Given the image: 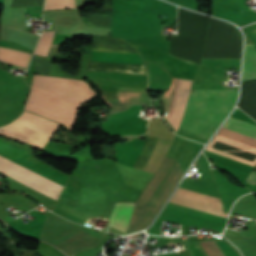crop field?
I'll list each match as a JSON object with an SVG mask.
<instances>
[{
    "mask_svg": "<svg viewBox=\"0 0 256 256\" xmlns=\"http://www.w3.org/2000/svg\"><path fill=\"white\" fill-rule=\"evenodd\" d=\"M46 118L23 111L14 121L0 127V133L44 148L59 127Z\"/></svg>",
    "mask_w": 256,
    "mask_h": 256,
    "instance_id": "34b2d1b8",
    "label": "crop field"
},
{
    "mask_svg": "<svg viewBox=\"0 0 256 256\" xmlns=\"http://www.w3.org/2000/svg\"><path fill=\"white\" fill-rule=\"evenodd\" d=\"M80 106L33 86L24 110L60 122L72 130Z\"/></svg>",
    "mask_w": 256,
    "mask_h": 256,
    "instance_id": "ac0d7876",
    "label": "crop field"
},
{
    "mask_svg": "<svg viewBox=\"0 0 256 256\" xmlns=\"http://www.w3.org/2000/svg\"><path fill=\"white\" fill-rule=\"evenodd\" d=\"M223 128L256 138V126L229 117ZM221 128L218 135L256 147V139Z\"/></svg>",
    "mask_w": 256,
    "mask_h": 256,
    "instance_id": "412701ff",
    "label": "crop field"
},
{
    "mask_svg": "<svg viewBox=\"0 0 256 256\" xmlns=\"http://www.w3.org/2000/svg\"><path fill=\"white\" fill-rule=\"evenodd\" d=\"M87 70L147 75L145 64L89 60Z\"/></svg>",
    "mask_w": 256,
    "mask_h": 256,
    "instance_id": "f4fd0767",
    "label": "crop field"
},
{
    "mask_svg": "<svg viewBox=\"0 0 256 256\" xmlns=\"http://www.w3.org/2000/svg\"><path fill=\"white\" fill-rule=\"evenodd\" d=\"M54 8H75L74 0H46L45 10Z\"/></svg>",
    "mask_w": 256,
    "mask_h": 256,
    "instance_id": "3316defc",
    "label": "crop field"
},
{
    "mask_svg": "<svg viewBox=\"0 0 256 256\" xmlns=\"http://www.w3.org/2000/svg\"><path fill=\"white\" fill-rule=\"evenodd\" d=\"M31 54L0 48V61L26 67Z\"/></svg>",
    "mask_w": 256,
    "mask_h": 256,
    "instance_id": "d8731c3e",
    "label": "crop field"
},
{
    "mask_svg": "<svg viewBox=\"0 0 256 256\" xmlns=\"http://www.w3.org/2000/svg\"><path fill=\"white\" fill-rule=\"evenodd\" d=\"M246 182L256 184V171H252L246 178Z\"/></svg>",
    "mask_w": 256,
    "mask_h": 256,
    "instance_id": "d1516ede",
    "label": "crop field"
},
{
    "mask_svg": "<svg viewBox=\"0 0 256 256\" xmlns=\"http://www.w3.org/2000/svg\"><path fill=\"white\" fill-rule=\"evenodd\" d=\"M120 204L121 203H115L113 209H112V212L108 218L109 222L113 225L114 224V221H115V218H116V215L118 213V210H119V207H120ZM135 204H131V203H122L121 204V207H120V210H119V213L117 215V218H116V221H115V224H114V227L122 230L125 232L126 228L128 227L129 223H130V219H131V215H132V211H133V208H134ZM111 211V210H110Z\"/></svg>",
    "mask_w": 256,
    "mask_h": 256,
    "instance_id": "dd49c442",
    "label": "crop field"
},
{
    "mask_svg": "<svg viewBox=\"0 0 256 256\" xmlns=\"http://www.w3.org/2000/svg\"><path fill=\"white\" fill-rule=\"evenodd\" d=\"M54 32H43L38 46L35 50V54L47 56L49 52L50 45L53 41Z\"/></svg>",
    "mask_w": 256,
    "mask_h": 256,
    "instance_id": "5a996713",
    "label": "crop field"
},
{
    "mask_svg": "<svg viewBox=\"0 0 256 256\" xmlns=\"http://www.w3.org/2000/svg\"><path fill=\"white\" fill-rule=\"evenodd\" d=\"M238 90H191L180 128L208 141L232 110Z\"/></svg>",
    "mask_w": 256,
    "mask_h": 256,
    "instance_id": "8a807250",
    "label": "crop field"
},
{
    "mask_svg": "<svg viewBox=\"0 0 256 256\" xmlns=\"http://www.w3.org/2000/svg\"><path fill=\"white\" fill-rule=\"evenodd\" d=\"M255 34H256V32H255Z\"/></svg>",
    "mask_w": 256,
    "mask_h": 256,
    "instance_id": "22f410ed",
    "label": "crop field"
},
{
    "mask_svg": "<svg viewBox=\"0 0 256 256\" xmlns=\"http://www.w3.org/2000/svg\"><path fill=\"white\" fill-rule=\"evenodd\" d=\"M208 256H223L213 241L200 242Z\"/></svg>",
    "mask_w": 256,
    "mask_h": 256,
    "instance_id": "28ad6ade",
    "label": "crop field"
},
{
    "mask_svg": "<svg viewBox=\"0 0 256 256\" xmlns=\"http://www.w3.org/2000/svg\"><path fill=\"white\" fill-rule=\"evenodd\" d=\"M252 78H256V49L254 46L246 44L242 81Z\"/></svg>",
    "mask_w": 256,
    "mask_h": 256,
    "instance_id": "e52e79f7",
    "label": "crop field"
}]
</instances>
